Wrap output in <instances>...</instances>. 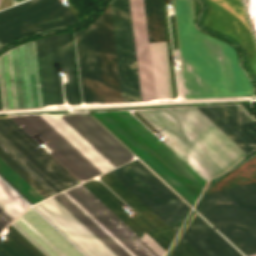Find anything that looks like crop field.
<instances>
[{"instance_id": "crop-field-3", "label": "crop field", "mask_w": 256, "mask_h": 256, "mask_svg": "<svg viewBox=\"0 0 256 256\" xmlns=\"http://www.w3.org/2000/svg\"><path fill=\"white\" fill-rule=\"evenodd\" d=\"M137 112L167 138L163 143L206 182L247 155L196 107Z\"/></svg>"}, {"instance_id": "crop-field-24", "label": "crop field", "mask_w": 256, "mask_h": 256, "mask_svg": "<svg viewBox=\"0 0 256 256\" xmlns=\"http://www.w3.org/2000/svg\"><path fill=\"white\" fill-rule=\"evenodd\" d=\"M170 256H201L181 237L174 246Z\"/></svg>"}, {"instance_id": "crop-field-18", "label": "crop field", "mask_w": 256, "mask_h": 256, "mask_svg": "<svg viewBox=\"0 0 256 256\" xmlns=\"http://www.w3.org/2000/svg\"><path fill=\"white\" fill-rule=\"evenodd\" d=\"M95 24L105 103H122L109 2Z\"/></svg>"}, {"instance_id": "crop-field-21", "label": "crop field", "mask_w": 256, "mask_h": 256, "mask_svg": "<svg viewBox=\"0 0 256 256\" xmlns=\"http://www.w3.org/2000/svg\"><path fill=\"white\" fill-rule=\"evenodd\" d=\"M181 237L202 256H243L198 214Z\"/></svg>"}, {"instance_id": "crop-field-16", "label": "crop field", "mask_w": 256, "mask_h": 256, "mask_svg": "<svg viewBox=\"0 0 256 256\" xmlns=\"http://www.w3.org/2000/svg\"><path fill=\"white\" fill-rule=\"evenodd\" d=\"M33 207L74 242L87 256H117L54 197Z\"/></svg>"}, {"instance_id": "crop-field-19", "label": "crop field", "mask_w": 256, "mask_h": 256, "mask_svg": "<svg viewBox=\"0 0 256 256\" xmlns=\"http://www.w3.org/2000/svg\"><path fill=\"white\" fill-rule=\"evenodd\" d=\"M75 36L84 103L104 102L94 22Z\"/></svg>"}, {"instance_id": "crop-field-28", "label": "crop field", "mask_w": 256, "mask_h": 256, "mask_svg": "<svg viewBox=\"0 0 256 256\" xmlns=\"http://www.w3.org/2000/svg\"><path fill=\"white\" fill-rule=\"evenodd\" d=\"M22 1H25V0H12V5L22 2Z\"/></svg>"}, {"instance_id": "crop-field-30", "label": "crop field", "mask_w": 256, "mask_h": 256, "mask_svg": "<svg viewBox=\"0 0 256 256\" xmlns=\"http://www.w3.org/2000/svg\"><path fill=\"white\" fill-rule=\"evenodd\" d=\"M1 1V0H0Z\"/></svg>"}, {"instance_id": "crop-field-9", "label": "crop field", "mask_w": 256, "mask_h": 256, "mask_svg": "<svg viewBox=\"0 0 256 256\" xmlns=\"http://www.w3.org/2000/svg\"><path fill=\"white\" fill-rule=\"evenodd\" d=\"M0 92L3 110L43 107L34 41L0 55Z\"/></svg>"}, {"instance_id": "crop-field-20", "label": "crop field", "mask_w": 256, "mask_h": 256, "mask_svg": "<svg viewBox=\"0 0 256 256\" xmlns=\"http://www.w3.org/2000/svg\"><path fill=\"white\" fill-rule=\"evenodd\" d=\"M197 108L247 154L256 147L253 123L234 105Z\"/></svg>"}, {"instance_id": "crop-field-23", "label": "crop field", "mask_w": 256, "mask_h": 256, "mask_svg": "<svg viewBox=\"0 0 256 256\" xmlns=\"http://www.w3.org/2000/svg\"><path fill=\"white\" fill-rule=\"evenodd\" d=\"M0 159L7 164L16 174H18L27 184H29L44 199L52 196L36 180H34L24 169H22L12 158H10L0 148Z\"/></svg>"}, {"instance_id": "crop-field-14", "label": "crop field", "mask_w": 256, "mask_h": 256, "mask_svg": "<svg viewBox=\"0 0 256 256\" xmlns=\"http://www.w3.org/2000/svg\"><path fill=\"white\" fill-rule=\"evenodd\" d=\"M77 22L59 0H29L0 11V44L22 35Z\"/></svg>"}, {"instance_id": "crop-field-12", "label": "crop field", "mask_w": 256, "mask_h": 256, "mask_svg": "<svg viewBox=\"0 0 256 256\" xmlns=\"http://www.w3.org/2000/svg\"><path fill=\"white\" fill-rule=\"evenodd\" d=\"M111 173L178 233L191 208L144 165L135 160Z\"/></svg>"}, {"instance_id": "crop-field-7", "label": "crop field", "mask_w": 256, "mask_h": 256, "mask_svg": "<svg viewBox=\"0 0 256 256\" xmlns=\"http://www.w3.org/2000/svg\"><path fill=\"white\" fill-rule=\"evenodd\" d=\"M154 256H159L82 184L78 185ZM78 186L54 196L119 256H153Z\"/></svg>"}, {"instance_id": "crop-field-8", "label": "crop field", "mask_w": 256, "mask_h": 256, "mask_svg": "<svg viewBox=\"0 0 256 256\" xmlns=\"http://www.w3.org/2000/svg\"><path fill=\"white\" fill-rule=\"evenodd\" d=\"M100 179L119 198H121L127 205L135 210L136 214L130 216L128 212L122 207L124 204L99 181L92 180L83 183V185L89 189L101 202H103L114 214H116L138 236L143 229L167 251L177 233L110 172L103 174ZM143 230L139 237L143 239L160 256H164L166 251Z\"/></svg>"}, {"instance_id": "crop-field-1", "label": "crop field", "mask_w": 256, "mask_h": 256, "mask_svg": "<svg viewBox=\"0 0 256 256\" xmlns=\"http://www.w3.org/2000/svg\"><path fill=\"white\" fill-rule=\"evenodd\" d=\"M39 145L48 144L76 178L88 180L132 159V155L87 113L69 116H7Z\"/></svg>"}, {"instance_id": "crop-field-25", "label": "crop field", "mask_w": 256, "mask_h": 256, "mask_svg": "<svg viewBox=\"0 0 256 256\" xmlns=\"http://www.w3.org/2000/svg\"><path fill=\"white\" fill-rule=\"evenodd\" d=\"M255 32H256V0H245Z\"/></svg>"}, {"instance_id": "crop-field-5", "label": "crop field", "mask_w": 256, "mask_h": 256, "mask_svg": "<svg viewBox=\"0 0 256 256\" xmlns=\"http://www.w3.org/2000/svg\"><path fill=\"white\" fill-rule=\"evenodd\" d=\"M122 99L124 102L155 101L143 0H110Z\"/></svg>"}, {"instance_id": "crop-field-29", "label": "crop field", "mask_w": 256, "mask_h": 256, "mask_svg": "<svg viewBox=\"0 0 256 256\" xmlns=\"http://www.w3.org/2000/svg\"><path fill=\"white\" fill-rule=\"evenodd\" d=\"M0 256H6V255L0 250Z\"/></svg>"}, {"instance_id": "crop-field-26", "label": "crop field", "mask_w": 256, "mask_h": 256, "mask_svg": "<svg viewBox=\"0 0 256 256\" xmlns=\"http://www.w3.org/2000/svg\"><path fill=\"white\" fill-rule=\"evenodd\" d=\"M14 219L0 207V231Z\"/></svg>"}, {"instance_id": "crop-field-13", "label": "crop field", "mask_w": 256, "mask_h": 256, "mask_svg": "<svg viewBox=\"0 0 256 256\" xmlns=\"http://www.w3.org/2000/svg\"><path fill=\"white\" fill-rule=\"evenodd\" d=\"M12 224L47 256H82L31 208ZM12 224L0 246L11 256H46Z\"/></svg>"}, {"instance_id": "crop-field-2", "label": "crop field", "mask_w": 256, "mask_h": 256, "mask_svg": "<svg viewBox=\"0 0 256 256\" xmlns=\"http://www.w3.org/2000/svg\"><path fill=\"white\" fill-rule=\"evenodd\" d=\"M186 98L250 96L254 91L237 56L226 44L193 28L190 0H174ZM182 71H176L185 98Z\"/></svg>"}, {"instance_id": "crop-field-11", "label": "crop field", "mask_w": 256, "mask_h": 256, "mask_svg": "<svg viewBox=\"0 0 256 256\" xmlns=\"http://www.w3.org/2000/svg\"><path fill=\"white\" fill-rule=\"evenodd\" d=\"M43 103L64 104L59 74L67 73L64 94L68 104H80L70 32L35 41Z\"/></svg>"}, {"instance_id": "crop-field-4", "label": "crop field", "mask_w": 256, "mask_h": 256, "mask_svg": "<svg viewBox=\"0 0 256 256\" xmlns=\"http://www.w3.org/2000/svg\"><path fill=\"white\" fill-rule=\"evenodd\" d=\"M192 206L205 181L128 111L91 113Z\"/></svg>"}, {"instance_id": "crop-field-15", "label": "crop field", "mask_w": 256, "mask_h": 256, "mask_svg": "<svg viewBox=\"0 0 256 256\" xmlns=\"http://www.w3.org/2000/svg\"><path fill=\"white\" fill-rule=\"evenodd\" d=\"M149 43L166 42L160 0H144ZM156 101L172 100L166 43L149 44Z\"/></svg>"}, {"instance_id": "crop-field-27", "label": "crop field", "mask_w": 256, "mask_h": 256, "mask_svg": "<svg viewBox=\"0 0 256 256\" xmlns=\"http://www.w3.org/2000/svg\"><path fill=\"white\" fill-rule=\"evenodd\" d=\"M2 178H4L16 191H18L27 201H29L31 204H34L31 202L22 192H20L12 183H10L3 175L0 174Z\"/></svg>"}, {"instance_id": "crop-field-17", "label": "crop field", "mask_w": 256, "mask_h": 256, "mask_svg": "<svg viewBox=\"0 0 256 256\" xmlns=\"http://www.w3.org/2000/svg\"><path fill=\"white\" fill-rule=\"evenodd\" d=\"M210 11L205 25L236 39L248 52L249 64L256 74V48L240 0H208Z\"/></svg>"}, {"instance_id": "crop-field-22", "label": "crop field", "mask_w": 256, "mask_h": 256, "mask_svg": "<svg viewBox=\"0 0 256 256\" xmlns=\"http://www.w3.org/2000/svg\"><path fill=\"white\" fill-rule=\"evenodd\" d=\"M13 192L0 181V206L15 219L29 206Z\"/></svg>"}, {"instance_id": "crop-field-10", "label": "crop field", "mask_w": 256, "mask_h": 256, "mask_svg": "<svg viewBox=\"0 0 256 256\" xmlns=\"http://www.w3.org/2000/svg\"><path fill=\"white\" fill-rule=\"evenodd\" d=\"M0 147L52 195L79 184L9 119H0Z\"/></svg>"}, {"instance_id": "crop-field-6", "label": "crop field", "mask_w": 256, "mask_h": 256, "mask_svg": "<svg viewBox=\"0 0 256 256\" xmlns=\"http://www.w3.org/2000/svg\"><path fill=\"white\" fill-rule=\"evenodd\" d=\"M197 211L246 256L256 253V183L206 195Z\"/></svg>"}, {"instance_id": "crop-field-31", "label": "crop field", "mask_w": 256, "mask_h": 256, "mask_svg": "<svg viewBox=\"0 0 256 256\" xmlns=\"http://www.w3.org/2000/svg\"><path fill=\"white\" fill-rule=\"evenodd\" d=\"M1 46V45H0Z\"/></svg>"}]
</instances>
